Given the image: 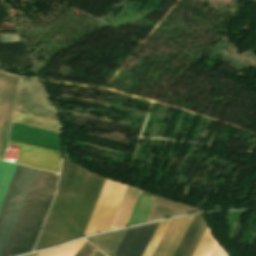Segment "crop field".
I'll return each instance as SVG.
<instances>
[{"instance_id":"obj_15","label":"crop field","mask_w":256,"mask_h":256,"mask_svg":"<svg viewBox=\"0 0 256 256\" xmlns=\"http://www.w3.org/2000/svg\"><path fill=\"white\" fill-rule=\"evenodd\" d=\"M12 122L59 133V124L56 123L57 121L52 122L14 112Z\"/></svg>"},{"instance_id":"obj_5","label":"crop field","mask_w":256,"mask_h":256,"mask_svg":"<svg viewBox=\"0 0 256 256\" xmlns=\"http://www.w3.org/2000/svg\"><path fill=\"white\" fill-rule=\"evenodd\" d=\"M38 170L24 167L2 223L0 225V252L5 247L21 212L29 189Z\"/></svg>"},{"instance_id":"obj_18","label":"crop field","mask_w":256,"mask_h":256,"mask_svg":"<svg viewBox=\"0 0 256 256\" xmlns=\"http://www.w3.org/2000/svg\"><path fill=\"white\" fill-rule=\"evenodd\" d=\"M169 222H170V220L160 222V224H159L155 234L153 235L148 247L146 248L143 256H152V254H153L154 250L156 249L162 235L164 234Z\"/></svg>"},{"instance_id":"obj_7","label":"crop field","mask_w":256,"mask_h":256,"mask_svg":"<svg viewBox=\"0 0 256 256\" xmlns=\"http://www.w3.org/2000/svg\"><path fill=\"white\" fill-rule=\"evenodd\" d=\"M8 146L20 147L18 163L58 173L61 161L60 153L20 144L10 140Z\"/></svg>"},{"instance_id":"obj_9","label":"crop field","mask_w":256,"mask_h":256,"mask_svg":"<svg viewBox=\"0 0 256 256\" xmlns=\"http://www.w3.org/2000/svg\"><path fill=\"white\" fill-rule=\"evenodd\" d=\"M193 217L194 215L171 220L153 256H173Z\"/></svg>"},{"instance_id":"obj_23","label":"crop field","mask_w":256,"mask_h":256,"mask_svg":"<svg viewBox=\"0 0 256 256\" xmlns=\"http://www.w3.org/2000/svg\"><path fill=\"white\" fill-rule=\"evenodd\" d=\"M53 250H49V251H45V252H41L38 254V256H51V254L53 253Z\"/></svg>"},{"instance_id":"obj_2","label":"crop field","mask_w":256,"mask_h":256,"mask_svg":"<svg viewBox=\"0 0 256 256\" xmlns=\"http://www.w3.org/2000/svg\"><path fill=\"white\" fill-rule=\"evenodd\" d=\"M58 175L47 173L23 234L11 256L32 250L55 195Z\"/></svg>"},{"instance_id":"obj_10","label":"crop field","mask_w":256,"mask_h":256,"mask_svg":"<svg viewBox=\"0 0 256 256\" xmlns=\"http://www.w3.org/2000/svg\"><path fill=\"white\" fill-rule=\"evenodd\" d=\"M47 172L39 170L37 173V176L34 180V183L32 185V188L30 190V193L27 197V200L25 202V205L22 209V212L20 214V217L18 219V222L15 226V229L13 231V234L7 244V246L4 248V250L1 252L0 256H10L14 247L16 246L22 231L24 229V226L27 222V219L29 217V214L31 212V209L33 207V204L36 200V197L38 195V192L40 190V187L42 185V182L45 178Z\"/></svg>"},{"instance_id":"obj_8","label":"crop field","mask_w":256,"mask_h":256,"mask_svg":"<svg viewBox=\"0 0 256 256\" xmlns=\"http://www.w3.org/2000/svg\"><path fill=\"white\" fill-rule=\"evenodd\" d=\"M9 139L60 152L57 133L13 123Z\"/></svg>"},{"instance_id":"obj_21","label":"crop field","mask_w":256,"mask_h":256,"mask_svg":"<svg viewBox=\"0 0 256 256\" xmlns=\"http://www.w3.org/2000/svg\"><path fill=\"white\" fill-rule=\"evenodd\" d=\"M95 248L86 241L73 256H89Z\"/></svg>"},{"instance_id":"obj_6","label":"crop field","mask_w":256,"mask_h":256,"mask_svg":"<svg viewBox=\"0 0 256 256\" xmlns=\"http://www.w3.org/2000/svg\"><path fill=\"white\" fill-rule=\"evenodd\" d=\"M158 224L159 222L127 229L114 256H142Z\"/></svg>"},{"instance_id":"obj_24","label":"crop field","mask_w":256,"mask_h":256,"mask_svg":"<svg viewBox=\"0 0 256 256\" xmlns=\"http://www.w3.org/2000/svg\"><path fill=\"white\" fill-rule=\"evenodd\" d=\"M90 256H105L102 253H100L98 250H94L93 253Z\"/></svg>"},{"instance_id":"obj_4","label":"crop field","mask_w":256,"mask_h":256,"mask_svg":"<svg viewBox=\"0 0 256 256\" xmlns=\"http://www.w3.org/2000/svg\"><path fill=\"white\" fill-rule=\"evenodd\" d=\"M14 111L58 122L40 80L20 77Z\"/></svg>"},{"instance_id":"obj_16","label":"crop field","mask_w":256,"mask_h":256,"mask_svg":"<svg viewBox=\"0 0 256 256\" xmlns=\"http://www.w3.org/2000/svg\"><path fill=\"white\" fill-rule=\"evenodd\" d=\"M183 213H190V211H187L178 207H174V206L155 200L147 221L157 220V219L178 215V214H183Z\"/></svg>"},{"instance_id":"obj_20","label":"crop field","mask_w":256,"mask_h":256,"mask_svg":"<svg viewBox=\"0 0 256 256\" xmlns=\"http://www.w3.org/2000/svg\"><path fill=\"white\" fill-rule=\"evenodd\" d=\"M85 240H79L66 246L55 249L52 256H72Z\"/></svg>"},{"instance_id":"obj_25","label":"crop field","mask_w":256,"mask_h":256,"mask_svg":"<svg viewBox=\"0 0 256 256\" xmlns=\"http://www.w3.org/2000/svg\"><path fill=\"white\" fill-rule=\"evenodd\" d=\"M38 254V253H37ZM37 254L29 255V256H37Z\"/></svg>"},{"instance_id":"obj_14","label":"crop field","mask_w":256,"mask_h":256,"mask_svg":"<svg viewBox=\"0 0 256 256\" xmlns=\"http://www.w3.org/2000/svg\"><path fill=\"white\" fill-rule=\"evenodd\" d=\"M207 229H206L199 245L197 246L193 256H208L215 243L216 244L209 256H228L225 253V251L220 247V245L216 242V240L212 236L210 230L208 229L209 233L211 234L212 238L215 241V243H214V241L211 238L210 234L208 233Z\"/></svg>"},{"instance_id":"obj_3","label":"crop field","mask_w":256,"mask_h":256,"mask_svg":"<svg viewBox=\"0 0 256 256\" xmlns=\"http://www.w3.org/2000/svg\"><path fill=\"white\" fill-rule=\"evenodd\" d=\"M126 187V185L105 180L83 236L110 228Z\"/></svg>"},{"instance_id":"obj_13","label":"crop field","mask_w":256,"mask_h":256,"mask_svg":"<svg viewBox=\"0 0 256 256\" xmlns=\"http://www.w3.org/2000/svg\"><path fill=\"white\" fill-rule=\"evenodd\" d=\"M127 230V229H126ZM125 230L87 238L108 256H112ZM126 232V231H125Z\"/></svg>"},{"instance_id":"obj_1","label":"crop field","mask_w":256,"mask_h":256,"mask_svg":"<svg viewBox=\"0 0 256 256\" xmlns=\"http://www.w3.org/2000/svg\"><path fill=\"white\" fill-rule=\"evenodd\" d=\"M104 180L63 160L57 195L34 251L83 235Z\"/></svg>"},{"instance_id":"obj_17","label":"crop field","mask_w":256,"mask_h":256,"mask_svg":"<svg viewBox=\"0 0 256 256\" xmlns=\"http://www.w3.org/2000/svg\"><path fill=\"white\" fill-rule=\"evenodd\" d=\"M17 165L0 161V205Z\"/></svg>"},{"instance_id":"obj_19","label":"crop field","mask_w":256,"mask_h":256,"mask_svg":"<svg viewBox=\"0 0 256 256\" xmlns=\"http://www.w3.org/2000/svg\"><path fill=\"white\" fill-rule=\"evenodd\" d=\"M22 166H17V168H16V171H15V173H14V176H13V178H12V180H11V183H10V185H9V188H8V190H7V193H6V195H5V198H4V200H3V203H2V205H1V208H0V223H1V220H2V218H3V215H4V213H5V210H6V208H7V205H8V203H9V200H10V198H11V195H12V193H13V190H14V188H15V185H16V183H17V180H18V178H19V175H20V173H21V170H22Z\"/></svg>"},{"instance_id":"obj_12","label":"crop field","mask_w":256,"mask_h":256,"mask_svg":"<svg viewBox=\"0 0 256 256\" xmlns=\"http://www.w3.org/2000/svg\"><path fill=\"white\" fill-rule=\"evenodd\" d=\"M155 197L141 191L126 226L145 222Z\"/></svg>"},{"instance_id":"obj_22","label":"crop field","mask_w":256,"mask_h":256,"mask_svg":"<svg viewBox=\"0 0 256 256\" xmlns=\"http://www.w3.org/2000/svg\"><path fill=\"white\" fill-rule=\"evenodd\" d=\"M156 200H159V201H162V202H165V203L171 204V205H175V206H178V207H181V208H184V209H187V210L193 211V212H196V211H197V209H195V208H192V207H189V206H186V205L180 204V203H176V202H173V201H170V200H167V199H164V198L158 197V196L156 197Z\"/></svg>"},{"instance_id":"obj_11","label":"crop field","mask_w":256,"mask_h":256,"mask_svg":"<svg viewBox=\"0 0 256 256\" xmlns=\"http://www.w3.org/2000/svg\"><path fill=\"white\" fill-rule=\"evenodd\" d=\"M207 225L202 214L195 215L187 233L185 234L174 256H192Z\"/></svg>"}]
</instances>
